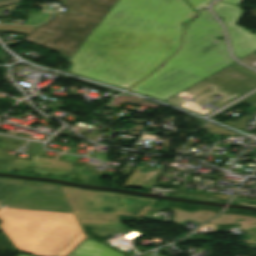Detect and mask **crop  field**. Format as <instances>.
<instances>
[{
  "label": "crop field",
  "mask_w": 256,
  "mask_h": 256,
  "mask_svg": "<svg viewBox=\"0 0 256 256\" xmlns=\"http://www.w3.org/2000/svg\"><path fill=\"white\" fill-rule=\"evenodd\" d=\"M25 181L0 179V206L17 190Z\"/></svg>",
  "instance_id": "cbeb9de0"
},
{
  "label": "crop field",
  "mask_w": 256,
  "mask_h": 256,
  "mask_svg": "<svg viewBox=\"0 0 256 256\" xmlns=\"http://www.w3.org/2000/svg\"><path fill=\"white\" fill-rule=\"evenodd\" d=\"M116 1L65 0L62 6L68 9L66 12L54 15L23 40L70 58Z\"/></svg>",
  "instance_id": "412701ff"
},
{
  "label": "crop field",
  "mask_w": 256,
  "mask_h": 256,
  "mask_svg": "<svg viewBox=\"0 0 256 256\" xmlns=\"http://www.w3.org/2000/svg\"><path fill=\"white\" fill-rule=\"evenodd\" d=\"M50 15L31 11L25 24L39 25L49 18Z\"/></svg>",
  "instance_id": "733c2abd"
},
{
  "label": "crop field",
  "mask_w": 256,
  "mask_h": 256,
  "mask_svg": "<svg viewBox=\"0 0 256 256\" xmlns=\"http://www.w3.org/2000/svg\"><path fill=\"white\" fill-rule=\"evenodd\" d=\"M187 1L198 12L203 6H205L211 0H187Z\"/></svg>",
  "instance_id": "4a817a6b"
},
{
  "label": "crop field",
  "mask_w": 256,
  "mask_h": 256,
  "mask_svg": "<svg viewBox=\"0 0 256 256\" xmlns=\"http://www.w3.org/2000/svg\"><path fill=\"white\" fill-rule=\"evenodd\" d=\"M205 80L213 82L240 95L256 88L255 79L230 66L205 78Z\"/></svg>",
  "instance_id": "d8731c3e"
},
{
  "label": "crop field",
  "mask_w": 256,
  "mask_h": 256,
  "mask_svg": "<svg viewBox=\"0 0 256 256\" xmlns=\"http://www.w3.org/2000/svg\"><path fill=\"white\" fill-rule=\"evenodd\" d=\"M70 256H124L111 248L87 239Z\"/></svg>",
  "instance_id": "5a996713"
},
{
  "label": "crop field",
  "mask_w": 256,
  "mask_h": 256,
  "mask_svg": "<svg viewBox=\"0 0 256 256\" xmlns=\"http://www.w3.org/2000/svg\"><path fill=\"white\" fill-rule=\"evenodd\" d=\"M195 14L184 0H118L67 71L127 89L179 49L180 23Z\"/></svg>",
  "instance_id": "8a807250"
},
{
  "label": "crop field",
  "mask_w": 256,
  "mask_h": 256,
  "mask_svg": "<svg viewBox=\"0 0 256 256\" xmlns=\"http://www.w3.org/2000/svg\"><path fill=\"white\" fill-rule=\"evenodd\" d=\"M2 208L72 213L59 187L39 182H25Z\"/></svg>",
  "instance_id": "dd49c442"
},
{
  "label": "crop field",
  "mask_w": 256,
  "mask_h": 256,
  "mask_svg": "<svg viewBox=\"0 0 256 256\" xmlns=\"http://www.w3.org/2000/svg\"><path fill=\"white\" fill-rule=\"evenodd\" d=\"M76 165H74L73 169L71 170L70 173H66V172H59V171H51V170H44V169H37V168H30L27 167L26 170L24 172H28L30 170L35 171L34 173L36 174H42V175H46V173H51V174H59V175H69V178L75 177V178H79L82 180H86L87 177L92 178L93 180L102 182L103 178L100 176H94V175H89V174H83V173H77L74 172L76 169Z\"/></svg>",
  "instance_id": "22f410ed"
},
{
  "label": "crop field",
  "mask_w": 256,
  "mask_h": 256,
  "mask_svg": "<svg viewBox=\"0 0 256 256\" xmlns=\"http://www.w3.org/2000/svg\"><path fill=\"white\" fill-rule=\"evenodd\" d=\"M61 188L79 220H120V215L142 218L156 202L116 194L71 189L62 186ZM107 207H113L115 212L104 213L102 208Z\"/></svg>",
  "instance_id": "f4fd0767"
},
{
  "label": "crop field",
  "mask_w": 256,
  "mask_h": 256,
  "mask_svg": "<svg viewBox=\"0 0 256 256\" xmlns=\"http://www.w3.org/2000/svg\"><path fill=\"white\" fill-rule=\"evenodd\" d=\"M159 253H160V251L156 252V256H163V255H161Z\"/></svg>",
  "instance_id": "dafd665d"
},
{
  "label": "crop field",
  "mask_w": 256,
  "mask_h": 256,
  "mask_svg": "<svg viewBox=\"0 0 256 256\" xmlns=\"http://www.w3.org/2000/svg\"><path fill=\"white\" fill-rule=\"evenodd\" d=\"M212 9L226 24L234 56L240 59L256 50V32L254 35L250 33L256 30H247L236 25L243 12L241 7L218 1Z\"/></svg>",
  "instance_id": "e52e79f7"
},
{
  "label": "crop field",
  "mask_w": 256,
  "mask_h": 256,
  "mask_svg": "<svg viewBox=\"0 0 256 256\" xmlns=\"http://www.w3.org/2000/svg\"><path fill=\"white\" fill-rule=\"evenodd\" d=\"M221 26L206 8L185 30L182 46L157 72L130 91L165 100L234 62L225 43Z\"/></svg>",
  "instance_id": "ac0d7876"
},
{
  "label": "crop field",
  "mask_w": 256,
  "mask_h": 256,
  "mask_svg": "<svg viewBox=\"0 0 256 256\" xmlns=\"http://www.w3.org/2000/svg\"><path fill=\"white\" fill-rule=\"evenodd\" d=\"M28 163L29 161L27 160L0 155V171L24 170Z\"/></svg>",
  "instance_id": "5142ce71"
},
{
  "label": "crop field",
  "mask_w": 256,
  "mask_h": 256,
  "mask_svg": "<svg viewBox=\"0 0 256 256\" xmlns=\"http://www.w3.org/2000/svg\"><path fill=\"white\" fill-rule=\"evenodd\" d=\"M41 156L42 154L35 156L30 161L28 166L70 172L71 168L74 165V164H70L62 161H57L58 158L61 156V154H58V153H56L52 159L44 158Z\"/></svg>",
  "instance_id": "3316defc"
},
{
  "label": "crop field",
  "mask_w": 256,
  "mask_h": 256,
  "mask_svg": "<svg viewBox=\"0 0 256 256\" xmlns=\"http://www.w3.org/2000/svg\"><path fill=\"white\" fill-rule=\"evenodd\" d=\"M170 204H168L167 202H157L153 205V207L150 210L153 211H163L164 209H166Z\"/></svg>",
  "instance_id": "bc2a9ffb"
},
{
  "label": "crop field",
  "mask_w": 256,
  "mask_h": 256,
  "mask_svg": "<svg viewBox=\"0 0 256 256\" xmlns=\"http://www.w3.org/2000/svg\"><path fill=\"white\" fill-rule=\"evenodd\" d=\"M55 1H59V2H62L63 0H55Z\"/></svg>",
  "instance_id": "a9b5d70f"
},
{
  "label": "crop field",
  "mask_w": 256,
  "mask_h": 256,
  "mask_svg": "<svg viewBox=\"0 0 256 256\" xmlns=\"http://www.w3.org/2000/svg\"><path fill=\"white\" fill-rule=\"evenodd\" d=\"M0 221L15 248L30 254L67 256L85 238L73 214L1 208Z\"/></svg>",
  "instance_id": "34b2d1b8"
},
{
  "label": "crop field",
  "mask_w": 256,
  "mask_h": 256,
  "mask_svg": "<svg viewBox=\"0 0 256 256\" xmlns=\"http://www.w3.org/2000/svg\"><path fill=\"white\" fill-rule=\"evenodd\" d=\"M168 209L172 210L175 213L171 219V222L175 224L185 220L186 218H190L195 221L203 223L204 221L217 215V212L207 211V210H199L196 212H186L180 208H176L172 206H169Z\"/></svg>",
  "instance_id": "28ad6ade"
},
{
  "label": "crop field",
  "mask_w": 256,
  "mask_h": 256,
  "mask_svg": "<svg viewBox=\"0 0 256 256\" xmlns=\"http://www.w3.org/2000/svg\"><path fill=\"white\" fill-rule=\"evenodd\" d=\"M222 2L230 3L239 6V4L244 0H220Z\"/></svg>",
  "instance_id": "92a150f3"
},
{
  "label": "crop field",
  "mask_w": 256,
  "mask_h": 256,
  "mask_svg": "<svg viewBox=\"0 0 256 256\" xmlns=\"http://www.w3.org/2000/svg\"><path fill=\"white\" fill-rule=\"evenodd\" d=\"M19 1H21V0H0V7L10 5L13 3H17Z\"/></svg>",
  "instance_id": "214f88e0"
},
{
  "label": "crop field",
  "mask_w": 256,
  "mask_h": 256,
  "mask_svg": "<svg viewBox=\"0 0 256 256\" xmlns=\"http://www.w3.org/2000/svg\"><path fill=\"white\" fill-rule=\"evenodd\" d=\"M88 238L104 239L124 228L83 227Z\"/></svg>",
  "instance_id": "d9b57169"
},
{
  "label": "crop field",
  "mask_w": 256,
  "mask_h": 256,
  "mask_svg": "<svg viewBox=\"0 0 256 256\" xmlns=\"http://www.w3.org/2000/svg\"><path fill=\"white\" fill-rule=\"evenodd\" d=\"M241 223V230L256 227V218L225 213L206 224Z\"/></svg>",
  "instance_id": "d1516ede"
},
{
  "label": "crop field",
  "mask_w": 256,
  "mask_h": 256,
  "mask_svg": "<svg viewBox=\"0 0 256 256\" xmlns=\"http://www.w3.org/2000/svg\"><path fill=\"white\" fill-rule=\"evenodd\" d=\"M18 256H28V255H21V254H18Z\"/></svg>",
  "instance_id": "00972430"
}]
</instances>
